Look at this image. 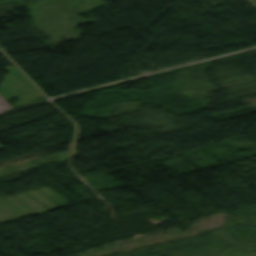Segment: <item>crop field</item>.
I'll return each instance as SVG.
<instances>
[{"instance_id": "1", "label": "crop field", "mask_w": 256, "mask_h": 256, "mask_svg": "<svg viewBox=\"0 0 256 256\" xmlns=\"http://www.w3.org/2000/svg\"><path fill=\"white\" fill-rule=\"evenodd\" d=\"M4 148L3 146L0 145V149Z\"/></svg>"}]
</instances>
